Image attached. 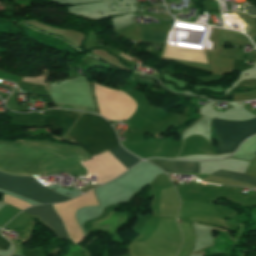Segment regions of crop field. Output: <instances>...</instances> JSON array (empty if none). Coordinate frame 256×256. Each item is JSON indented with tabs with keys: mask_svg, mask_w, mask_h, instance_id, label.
<instances>
[{
	"mask_svg": "<svg viewBox=\"0 0 256 256\" xmlns=\"http://www.w3.org/2000/svg\"><path fill=\"white\" fill-rule=\"evenodd\" d=\"M65 140L79 143L91 156L119 147L114 130L101 117L83 113Z\"/></svg>",
	"mask_w": 256,
	"mask_h": 256,
	"instance_id": "obj_1",
	"label": "crop field"
},
{
	"mask_svg": "<svg viewBox=\"0 0 256 256\" xmlns=\"http://www.w3.org/2000/svg\"><path fill=\"white\" fill-rule=\"evenodd\" d=\"M0 189L12 192L41 203L68 200L65 196L53 193L34 178L9 176L0 172Z\"/></svg>",
	"mask_w": 256,
	"mask_h": 256,
	"instance_id": "obj_2",
	"label": "crop field"
},
{
	"mask_svg": "<svg viewBox=\"0 0 256 256\" xmlns=\"http://www.w3.org/2000/svg\"><path fill=\"white\" fill-rule=\"evenodd\" d=\"M213 122L218 138L217 154L235 151L244 139L256 133V118L242 122L222 120H213Z\"/></svg>",
	"mask_w": 256,
	"mask_h": 256,
	"instance_id": "obj_3",
	"label": "crop field"
},
{
	"mask_svg": "<svg viewBox=\"0 0 256 256\" xmlns=\"http://www.w3.org/2000/svg\"><path fill=\"white\" fill-rule=\"evenodd\" d=\"M29 214H35L51 227L59 238H69L60 218L55 213L52 205H41L25 210Z\"/></svg>",
	"mask_w": 256,
	"mask_h": 256,
	"instance_id": "obj_4",
	"label": "crop field"
},
{
	"mask_svg": "<svg viewBox=\"0 0 256 256\" xmlns=\"http://www.w3.org/2000/svg\"><path fill=\"white\" fill-rule=\"evenodd\" d=\"M149 162L159 166L166 173L173 174H189L199 173L198 163H182V162H171L165 160H150Z\"/></svg>",
	"mask_w": 256,
	"mask_h": 256,
	"instance_id": "obj_5",
	"label": "crop field"
},
{
	"mask_svg": "<svg viewBox=\"0 0 256 256\" xmlns=\"http://www.w3.org/2000/svg\"><path fill=\"white\" fill-rule=\"evenodd\" d=\"M110 152L113 154V156L121 163L123 164L127 169L138 163L139 159L133 157L128 152H126L123 148L119 147L113 150H110Z\"/></svg>",
	"mask_w": 256,
	"mask_h": 256,
	"instance_id": "obj_6",
	"label": "crop field"
},
{
	"mask_svg": "<svg viewBox=\"0 0 256 256\" xmlns=\"http://www.w3.org/2000/svg\"><path fill=\"white\" fill-rule=\"evenodd\" d=\"M210 176L229 179V180H235V181H242V182L256 186V178L245 176V175L238 174V173L219 170V171L211 174Z\"/></svg>",
	"mask_w": 256,
	"mask_h": 256,
	"instance_id": "obj_7",
	"label": "crop field"
},
{
	"mask_svg": "<svg viewBox=\"0 0 256 256\" xmlns=\"http://www.w3.org/2000/svg\"><path fill=\"white\" fill-rule=\"evenodd\" d=\"M168 33L142 30L143 41L165 44Z\"/></svg>",
	"mask_w": 256,
	"mask_h": 256,
	"instance_id": "obj_8",
	"label": "crop field"
},
{
	"mask_svg": "<svg viewBox=\"0 0 256 256\" xmlns=\"http://www.w3.org/2000/svg\"><path fill=\"white\" fill-rule=\"evenodd\" d=\"M9 244L7 240L0 236V250H7Z\"/></svg>",
	"mask_w": 256,
	"mask_h": 256,
	"instance_id": "obj_9",
	"label": "crop field"
},
{
	"mask_svg": "<svg viewBox=\"0 0 256 256\" xmlns=\"http://www.w3.org/2000/svg\"><path fill=\"white\" fill-rule=\"evenodd\" d=\"M12 256H15V255H12Z\"/></svg>",
	"mask_w": 256,
	"mask_h": 256,
	"instance_id": "obj_10",
	"label": "crop field"
}]
</instances>
